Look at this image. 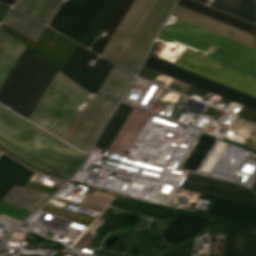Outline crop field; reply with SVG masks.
I'll return each instance as SVG.
<instances>
[{"label":"crop field","mask_w":256,"mask_h":256,"mask_svg":"<svg viewBox=\"0 0 256 256\" xmlns=\"http://www.w3.org/2000/svg\"><path fill=\"white\" fill-rule=\"evenodd\" d=\"M148 116L149 113L133 108L108 150L125 154Z\"/></svg>","instance_id":"obj_16"},{"label":"crop field","mask_w":256,"mask_h":256,"mask_svg":"<svg viewBox=\"0 0 256 256\" xmlns=\"http://www.w3.org/2000/svg\"><path fill=\"white\" fill-rule=\"evenodd\" d=\"M27 48L0 88V102L27 117L57 73V69Z\"/></svg>","instance_id":"obj_4"},{"label":"crop field","mask_w":256,"mask_h":256,"mask_svg":"<svg viewBox=\"0 0 256 256\" xmlns=\"http://www.w3.org/2000/svg\"><path fill=\"white\" fill-rule=\"evenodd\" d=\"M98 220H104L100 217L97 218V220L94 222V224L87 230V232L74 244V245H81V246H88L90 241L95 236L94 234L90 233L89 231L91 228L97 224Z\"/></svg>","instance_id":"obj_32"},{"label":"crop field","mask_w":256,"mask_h":256,"mask_svg":"<svg viewBox=\"0 0 256 256\" xmlns=\"http://www.w3.org/2000/svg\"><path fill=\"white\" fill-rule=\"evenodd\" d=\"M116 102L95 95L66 142L89 151Z\"/></svg>","instance_id":"obj_10"},{"label":"crop field","mask_w":256,"mask_h":256,"mask_svg":"<svg viewBox=\"0 0 256 256\" xmlns=\"http://www.w3.org/2000/svg\"><path fill=\"white\" fill-rule=\"evenodd\" d=\"M13 187V185L0 182V200L7 194V192Z\"/></svg>","instance_id":"obj_35"},{"label":"crop field","mask_w":256,"mask_h":256,"mask_svg":"<svg viewBox=\"0 0 256 256\" xmlns=\"http://www.w3.org/2000/svg\"><path fill=\"white\" fill-rule=\"evenodd\" d=\"M62 0H17L14 7L47 24Z\"/></svg>","instance_id":"obj_17"},{"label":"crop field","mask_w":256,"mask_h":256,"mask_svg":"<svg viewBox=\"0 0 256 256\" xmlns=\"http://www.w3.org/2000/svg\"><path fill=\"white\" fill-rule=\"evenodd\" d=\"M158 39L177 40L204 53L213 45L216 49L212 53H208L205 57L256 77L255 50L178 19L175 24L163 27ZM177 41L167 42L190 50L198 55L204 54Z\"/></svg>","instance_id":"obj_3"},{"label":"crop field","mask_w":256,"mask_h":256,"mask_svg":"<svg viewBox=\"0 0 256 256\" xmlns=\"http://www.w3.org/2000/svg\"><path fill=\"white\" fill-rule=\"evenodd\" d=\"M118 0H106L100 11L98 12L97 16L93 20L92 24L88 28L87 32L83 36L82 40L80 41V44L89 47L92 43L93 39L99 32L100 28L106 21L107 17L113 10L114 6Z\"/></svg>","instance_id":"obj_26"},{"label":"crop field","mask_w":256,"mask_h":256,"mask_svg":"<svg viewBox=\"0 0 256 256\" xmlns=\"http://www.w3.org/2000/svg\"><path fill=\"white\" fill-rule=\"evenodd\" d=\"M12 37L13 36L0 29V55L2 54Z\"/></svg>","instance_id":"obj_33"},{"label":"crop field","mask_w":256,"mask_h":256,"mask_svg":"<svg viewBox=\"0 0 256 256\" xmlns=\"http://www.w3.org/2000/svg\"><path fill=\"white\" fill-rule=\"evenodd\" d=\"M256 225L229 222L223 256H250Z\"/></svg>","instance_id":"obj_13"},{"label":"crop field","mask_w":256,"mask_h":256,"mask_svg":"<svg viewBox=\"0 0 256 256\" xmlns=\"http://www.w3.org/2000/svg\"><path fill=\"white\" fill-rule=\"evenodd\" d=\"M88 93L58 71L28 119L63 139Z\"/></svg>","instance_id":"obj_5"},{"label":"crop field","mask_w":256,"mask_h":256,"mask_svg":"<svg viewBox=\"0 0 256 256\" xmlns=\"http://www.w3.org/2000/svg\"><path fill=\"white\" fill-rule=\"evenodd\" d=\"M0 1H2V2H5V3H8V4L12 5V4H13V2H14L15 0H0Z\"/></svg>","instance_id":"obj_37"},{"label":"crop field","mask_w":256,"mask_h":256,"mask_svg":"<svg viewBox=\"0 0 256 256\" xmlns=\"http://www.w3.org/2000/svg\"><path fill=\"white\" fill-rule=\"evenodd\" d=\"M178 4L256 35V25L248 24L192 0H179Z\"/></svg>","instance_id":"obj_20"},{"label":"crop field","mask_w":256,"mask_h":256,"mask_svg":"<svg viewBox=\"0 0 256 256\" xmlns=\"http://www.w3.org/2000/svg\"><path fill=\"white\" fill-rule=\"evenodd\" d=\"M172 15L256 50V36L177 4ZM232 32V34H230Z\"/></svg>","instance_id":"obj_12"},{"label":"crop field","mask_w":256,"mask_h":256,"mask_svg":"<svg viewBox=\"0 0 256 256\" xmlns=\"http://www.w3.org/2000/svg\"><path fill=\"white\" fill-rule=\"evenodd\" d=\"M202 197L214 200L208 214L219 215L245 221H256V206L223 198L220 196L202 193Z\"/></svg>","instance_id":"obj_14"},{"label":"crop field","mask_w":256,"mask_h":256,"mask_svg":"<svg viewBox=\"0 0 256 256\" xmlns=\"http://www.w3.org/2000/svg\"><path fill=\"white\" fill-rule=\"evenodd\" d=\"M104 1L71 0L61 6L49 26L79 43Z\"/></svg>","instance_id":"obj_7"},{"label":"crop field","mask_w":256,"mask_h":256,"mask_svg":"<svg viewBox=\"0 0 256 256\" xmlns=\"http://www.w3.org/2000/svg\"><path fill=\"white\" fill-rule=\"evenodd\" d=\"M33 174L15 160L3 154L0 156V181L23 187ZM48 196V194L14 186L1 201L32 212Z\"/></svg>","instance_id":"obj_8"},{"label":"crop field","mask_w":256,"mask_h":256,"mask_svg":"<svg viewBox=\"0 0 256 256\" xmlns=\"http://www.w3.org/2000/svg\"><path fill=\"white\" fill-rule=\"evenodd\" d=\"M206 191L235 199L256 203V195L250 190L234 184L214 179H212Z\"/></svg>","instance_id":"obj_24"},{"label":"crop field","mask_w":256,"mask_h":256,"mask_svg":"<svg viewBox=\"0 0 256 256\" xmlns=\"http://www.w3.org/2000/svg\"><path fill=\"white\" fill-rule=\"evenodd\" d=\"M210 181H211L210 178H204V177H200L197 175L187 174L182 185L205 191V189L208 186V184L210 183Z\"/></svg>","instance_id":"obj_30"},{"label":"crop field","mask_w":256,"mask_h":256,"mask_svg":"<svg viewBox=\"0 0 256 256\" xmlns=\"http://www.w3.org/2000/svg\"><path fill=\"white\" fill-rule=\"evenodd\" d=\"M29 212L0 202V215L20 221Z\"/></svg>","instance_id":"obj_29"},{"label":"crop field","mask_w":256,"mask_h":256,"mask_svg":"<svg viewBox=\"0 0 256 256\" xmlns=\"http://www.w3.org/2000/svg\"><path fill=\"white\" fill-rule=\"evenodd\" d=\"M175 0H136L101 56L134 72Z\"/></svg>","instance_id":"obj_2"},{"label":"crop field","mask_w":256,"mask_h":256,"mask_svg":"<svg viewBox=\"0 0 256 256\" xmlns=\"http://www.w3.org/2000/svg\"><path fill=\"white\" fill-rule=\"evenodd\" d=\"M206 219L179 213L162 234L166 241L178 244L202 230Z\"/></svg>","instance_id":"obj_15"},{"label":"crop field","mask_w":256,"mask_h":256,"mask_svg":"<svg viewBox=\"0 0 256 256\" xmlns=\"http://www.w3.org/2000/svg\"><path fill=\"white\" fill-rule=\"evenodd\" d=\"M55 198V197H53ZM115 198V196H111L105 193H101L96 191L95 195L92 196L90 194H87L84 200L81 202L79 206H83L92 210H96L99 212H102L103 209ZM58 199V198H56ZM62 200V199H60ZM65 201V200H63ZM68 202V201H66ZM71 203V202H69ZM75 204V203H73ZM78 205V204H76Z\"/></svg>","instance_id":"obj_28"},{"label":"crop field","mask_w":256,"mask_h":256,"mask_svg":"<svg viewBox=\"0 0 256 256\" xmlns=\"http://www.w3.org/2000/svg\"><path fill=\"white\" fill-rule=\"evenodd\" d=\"M134 1L135 0H119L116 7L102 27V29L109 30L108 35L103 38H98L96 42L94 41L95 43L92 46V50L94 52L98 54L102 53Z\"/></svg>","instance_id":"obj_18"},{"label":"crop field","mask_w":256,"mask_h":256,"mask_svg":"<svg viewBox=\"0 0 256 256\" xmlns=\"http://www.w3.org/2000/svg\"><path fill=\"white\" fill-rule=\"evenodd\" d=\"M251 256H256V232H255V237H254V242H253V248H252Z\"/></svg>","instance_id":"obj_36"},{"label":"crop field","mask_w":256,"mask_h":256,"mask_svg":"<svg viewBox=\"0 0 256 256\" xmlns=\"http://www.w3.org/2000/svg\"><path fill=\"white\" fill-rule=\"evenodd\" d=\"M144 66L192 84L196 87L219 95L221 97L229 98L231 100L237 101L239 103L256 109V98H253L226 86H223L206 78L168 64L164 61L158 60L150 55H148Z\"/></svg>","instance_id":"obj_9"},{"label":"crop field","mask_w":256,"mask_h":256,"mask_svg":"<svg viewBox=\"0 0 256 256\" xmlns=\"http://www.w3.org/2000/svg\"><path fill=\"white\" fill-rule=\"evenodd\" d=\"M0 147L33 167L66 178L87 156L1 106Z\"/></svg>","instance_id":"obj_1"},{"label":"crop field","mask_w":256,"mask_h":256,"mask_svg":"<svg viewBox=\"0 0 256 256\" xmlns=\"http://www.w3.org/2000/svg\"><path fill=\"white\" fill-rule=\"evenodd\" d=\"M78 45L62 70L84 86L97 92L114 64L100 57L93 68L87 66L90 59L95 60L98 55Z\"/></svg>","instance_id":"obj_11"},{"label":"crop field","mask_w":256,"mask_h":256,"mask_svg":"<svg viewBox=\"0 0 256 256\" xmlns=\"http://www.w3.org/2000/svg\"><path fill=\"white\" fill-rule=\"evenodd\" d=\"M133 75L114 65L98 93L118 99Z\"/></svg>","instance_id":"obj_23"},{"label":"crop field","mask_w":256,"mask_h":256,"mask_svg":"<svg viewBox=\"0 0 256 256\" xmlns=\"http://www.w3.org/2000/svg\"><path fill=\"white\" fill-rule=\"evenodd\" d=\"M87 105L86 107L84 108L83 111H80L79 115L77 116V118L75 119L74 123L72 124V126L70 127L69 131L67 132V134L65 135L64 139L66 141V139L68 138L69 134L71 133V131L73 130V128L75 127L76 123L78 122V120L80 119V117L82 116V114L84 113L85 109L87 108V106L89 105V103L91 102L90 99H88L87 101Z\"/></svg>","instance_id":"obj_34"},{"label":"crop field","mask_w":256,"mask_h":256,"mask_svg":"<svg viewBox=\"0 0 256 256\" xmlns=\"http://www.w3.org/2000/svg\"><path fill=\"white\" fill-rule=\"evenodd\" d=\"M213 140L214 138L203 134V136L201 137L200 141L196 145L195 149L191 153L183 168H187L192 171L197 170L199 164L204 158Z\"/></svg>","instance_id":"obj_27"},{"label":"crop field","mask_w":256,"mask_h":256,"mask_svg":"<svg viewBox=\"0 0 256 256\" xmlns=\"http://www.w3.org/2000/svg\"><path fill=\"white\" fill-rule=\"evenodd\" d=\"M108 256H129V255L109 253Z\"/></svg>","instance_id":"obj_38"},{"label":"crop field","mask_w":256,"mask_h":256,"mask_svg":"<svg viewBox=\"0 0 256 256\" xmlns=\"http://www.w3.org/2000/svg\"><path fill=\"white\" fill-rule=\"evenodd\" d=\"M132 108L120 103L106 128L104 127L105 129L95 145L96 148L107 150Z\"/></svg>","instance_id":"obj_22"},{"label":"crop field","mask_w":256,"mask_h":256,"mask_svg":"<svg viewBox=\"0 0 256 256\" xmlns=\"http://www.w3.org/2000/svg\"><path fill=\"white\" fill-rule=\"evenodd\" d=\"M158 41L154 43L149 54L161 60L173 64L184 52L175 46ZM174 65L256 97L255 77L225 67L205 57H198L185 51Z\"/></svg>","instance_id":"obj_6"},{"label":"crop field","mask_w":256,"mask_h":256,"mask_svg":"<svg viewBox=\"0 0 256 256\" xmlns=\"http://www.w3.org/2000/svg\"><path fill=\"white\" fill-rule=\"evenodd\" d=\"M197 1L203 3L207 2V0ZM210 6L228 12L247 21L256 22L255 0H215L210 4Z\"/></svg>","instance_id":"obj_19"},{"label":"crop field","mask_w":256,"mask_h":256,"mask_svg":"<svg viewBox=\"0 0 256 256\" xmlns=\"http://www.w3.org/2000/svg\"><path fill=\"white\" fill-rule=\"evenodd\" d=\"M30 18L15 9H11L3 23L37 41L45 26Z\"/></svg>","instance_id":"obj_21"},{"label":"crop field","mask_w":256,"mask_h":256,"mask_svg":"<svg viewBox=\"0 0 256 256\" xmlns=\"http://www.w3.org/2000/svg\"><path fill=\"white\" fill-rule=\"evenodd\" d=\"M23 44V43H22ZM13 37L0 58V87L26 46Z\"/></svg>","instance_id":"obj_25"},{"label":"crop field","mask_w":256,"mask_h":256,"mask_svg":"<svg viewBox=\"0 0 256 256\" xmlns=\"http://www.w3.org/2000/svg\"><path fill=\"white\" fill-rule=\"evenodd\" d=\"M193 239L161 256H190Z\"/></svg>","instance_id":"obj_31"}]
</instances>
